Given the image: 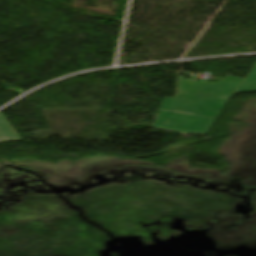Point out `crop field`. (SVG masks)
I'll use <instances>...</instances> for the list:
<instances>
[{
  "instance_id": "8a807250",
  "label": "crop field",
  "mask_w": 256,
  "mask_h": 256,
  "mask_svg": "<svg viewBox=\"0 0 256 256\" xmlns=\"http://www.w3.org/2000/svg\"><path fill=\"white\" fill-rule=\"evenodd\" d=\"M256 91V64L236 93Z\"/></svg>"
}]
</instances>
